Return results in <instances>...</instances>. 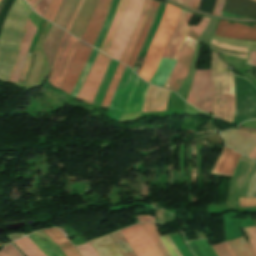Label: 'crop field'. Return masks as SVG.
I'll use <instances>...</instances> for the list:
<instances>
[{
	"mask_svg": "<svg viewBox=\"0 0 256 256\" xmlns=\"http://www.w3.org/2000/svg\"><path fill=\"white\" fill-rule=\"evenodd\" d=\"M216 53L211 51L212 113L232 123L234 116L232 74L226 73L227 64L219 59Z\"/></svg>",
	"mask_w": 256,
	"mask_h": 256,
	"instance_id": "1",
	"label": "crop field"
},
{
	"mask_svg": "<svg viewBox=\"0 0 256 256\" xmlns=\"http://www.w3.org/2000/svg\"><path fill=\"white\" fill-rule=\"evenodd\" d=\"M179 13L180 9L170 4L166 5L161 23L150 44L142 68L138 74V76L147 82H150L151 77L159 64L162 52L172 34Z\"/></svg>",
	"mask_w": 256,
	"mask_h": 256,
	"instance_id": "2",
	"label": "crop field"
},
{
	"mask_svg": "<svg viewBox=\"0 0 256 256\" xmlns=\"http://www.w3.org/2000/svg\"><path fill=\"white\" fill-rule=\"evenodd\" d=\"M192 15L193 14L182 9L172 37L162 55V61L176 62L180 48L190 29V26H187V22ZM162 61H160L159 67L150 82L151 84L162 86L174 66L173 63Z\"/></svg>",
	"mask_w": 256,
	"mask_h": 256,
	"instance_id": "3",
	"label": "crop field"
},
{
	"mask_svg": "<svg viewBox=\"0 0 256 256\" xmlns=\"http://www.w3.org/2000/svg\"><path fill=\"white\" fill-rule=\"evenodd\" d=\"M209 21V18L204 17L199 27L192 26L185 43L182 46L176 65L166 81L164 88L177 92L189 71L191 59L196 48L197 39Z\"/></svg>",
	"mask_w": 256,
	"mask_h": 256,
	"instance_id": "4",
	"label": "crop field"
},
{
	"mask_svg": "<svg viewBox=\"0 0 256 256\" xmlns=\"http://www.w3.org/2000/svg\"><path fill=\"white\" fill-rule=\"evenodd\" d=\"M144 0H129L124 16L113 37L111 46L106 54L120 60L129 40L134 31L135 25L142 10Z\"/></svg>",
	"mask_w": 256,
	"mask_h": 256,
	"instance_id": "5",
	"label": "crop field"
},
{
	"mask_svg": "<svg viewBox=\"0 0 256 256\" xmlns=\"http://www.w3.org/2000/svg\"><path fill=\"white\" fill-rule=\"evenodd\" d=\"M186 101L203 111L211 113L212 90L210 70L196 71Z\"/></svg>",
	"mask_w": 256,
	"mask_h": 256,
	"instance_id": "6",
	"label": "crop field"
},
{
	"mask_svg": "<svg viewBox=\"0 0 256 256\" xmlns=\"http://www.w3.org/2000/svg\"><path fill=\"white\" fill-rule=\"evenodd\" d=\"M79 41L65 32L63 39L60 43L56 60L53 66V71L49 78V82L59 87L68 69L70 60L78 46Z\"/></svg>",
	"mask_w": 256,
	"mask_h": 256,
	"instance_id": "7",
	"label": "crop field"
},
{
	"mask_svg": "<svg viewBox=\"0 0 256 256\" xmlns=\"http://www.w3.org/2000/svg\"><path fill=\"white\" fill-rule=\"evenodd\" d=\"M111 58L99 52L78 96L77 99L92 103L99 84L103 78L106 68Z\"/></svg>",
	"mask_w": 256,
	"mask_h": 256,
	"instance_id": "8",
	"label": "crop field"
},
{
	"mask_svg": "<svg viewBox=\"0 0 256 256\" xmlns=\"http://www.w3.org/2000/svg\"><path fill=\"white\" fill-rule=\"evenodd\" d=\"M138 256H162L141 224L122 230Z\"/></svg>",
	"mask_w": 256,
	"mask_h": 256,
	"instance_id": "9",
	"label": "crop field"
},
{
	"mask_svg": "<svg viewBox=\"0 0 256 256\" xmlns=\"http://www.w3.org/2000/svg\"><path fill=\"white\" fill-rule=\"evenodd\" d=\"M92 47H88L82 43L79 46L72 58L67 74L59 89L70 94L90 52Z\"/></svg>",
	"mask_w": 256,
	"mask_h": 256,
	"instance_id": "10",
	"label": "crop field"
},
{
	"mask_svg": "<svg viewBox=\"0 0 256 256\" xmlns=\"http://www.w3.org/2000/svg\"><path fill=\"white\" fill-rule=\"evenodd\" d=\"M111 1L112 0H98L93 15L89 21V24L81 40L93 46L101 30L108 9L110 7Z\"/></svg>",
	"mask_w": 256,
	"mask_h": 256,
	"instance_id": "11",
	"label": "crop field"
},
{
	"mask_svg": "<svg viewBox=\"0 0 256 256\" xmlns=\"http://www.w3.org/2000/svg\"><path fill=\"white\" fill-rule=\"evenodd\" d=\"M226 145L248 155L256 145V134L232 129L221 133Z\"/></svg>",
	"mask_w": 256,
	"mask_h": 256,
	"instance_id": "12",
	"label": "crop field"
},
{
	"mask_svg": "<svg viewBox=\"0 0 256 256\" xmlns=\"http://www.w3.org/2000/svg\"><path fill=\"white\" fill-rule=\"evenodd\" d=\"M215 35L228 38L256 40V29L237 23L230 24L228 21L220 20Z\"/></svg>",
	"mask_w": 256,
	"mask_h": 256,
	"instance_id": "13",
	"label": "crop field"
},
{
	"mask_svg": "<svg viewBox=\"0 0 256 256\" xmlns=\"http://www.w3.org/2000/svg\"><path fill=\"white\" fill-rule=\"evenodd\" d=\"M37 28L32 24V22L28 19L27 20V26H26V32L25 36L22 40L21 50L20 54L17 60V63L15 65L14 71L10 77L11 83L17 84V81L19 79L20 73L22 71V68L24 66V63L26 61L27 52L30 48L32 39L34 37V34L36 32Z\"/></svg>",
	"mask_w": 256,
	"mask_h": 256,
	"instance_id": "14",
	"label": "crop field"
},
{
	"mask_svg": "<svg viewBox=\"0 0 256 256\" xmlns=\"http://www.w3.org/2000/svg\"><path fill=\"white\" fill-rule=\"evenodd\" d=\"M240 156V153L225 146L212 173L232 176Z\"/></svg>",
	"mask_w": 256,
	"mask_h": 256,
	"instance_id": "15",
	"label": "crop field"
},
{
	"mask_svg": "<svg viewBox=\"0 0 256 256\" xmlns=\"http://www.w3.org/2000/svg\"><path fill=\"white\" fill-rule=\"evenodd\" d=\"M169 93L170 92L165 89L150 85L142 111H157L165 109Z\"/></svg>",
	"mask_w": 256,
	"mask_h": 256,
	"instance_id": "16",
	"label": "crop field"
},
{
	"mask_svg": "<svg viewBox=\"0 0 256 256\" xmlns=\"http://www.w3.org/2000/svg\"><path fill=\"white\" fill-rule=\"evenodd\" d=\"M142 225H143V227L145 228V230L147 231V233L149 234V236L151 237V239L153 240V242L155 243V245L157 246V248L159 249V251L161 252V254L163 256H171V255L172 256H177V255L181 256V254L176 249V247L174 246V244L172 243V241L170 240L168 235H165V237H166V239L168 240V242L170 243V245L172 246V248L174 249V251L176 252L177 255L175 254V252L173 251V249L171 248V246L169 245V243L167 242L165 237L161 236L162 237L161 240L163 241V243L165 244V246L167 247V249L171 253V255H170V253L168 252V250L166 249V247L164 246V244L162 243V241L159 238L158 232L156 230L155 223H148V224H142Z\"/></svg>",
	"mask_w": 256,
	"mask_h": 256,
	"instance_id": "17",
	"label": "crop field"
},
{
	"mask_svg": "<svg viewBox=\"0 0 256 256\" xmlns=\"http://www.w3.org/2000/svg\"><path fill=\"white\" fill-rule=\"evenodd\" d=\"M28 237L46 256H65L43 231H39Z\"/></svg>",
	"mask_w": 256,
	"mask_h": 256,
	"instance_id": "18",
	"label": "crop field"
},
{
	"mask_svg": "<svg viewBox=\"0 0 256 256\" xmlns=\"http://www.w3.org/2000/svg\"><path fill=\"white\" fill-rule=\"evenodd\" d=\"M151 2H152V0H145V2H144L143 10H142L140 18L138 20V23H137V26L135 28V31H134V33H133V35L131 37V40H130L127 48H126V51H125V53H124V55H123V57L121 59V62H123L125 64H127L128 61H129L132 49H133V47L135 45V42H136V40L138 38V35H139V33H140L141 29H142V26H143V24L145 22V19H146L147 15H148L150 7H151Z\"/></svg>",
	"mask_w": 256,
	"mask_h": 256,
	"instance_id": "19",
	"label": "crop field"
},
{
	"mask_svg": "<svg viewBox=\"0 0 256 256\" xmlns=\"http://www.w3.org/2000/svg\"><path fill=\"white\" fill-rule=\"evenodd\" d=\"M158 5H159V3L153 1L151 10H150L149 15H148V17H147V20H146V22H145V24H144V27H143V29H142V32H141V34H140V36H139V39H138V41H137V44H136V46H135V48H134V51H133L132 56H131V59H130L129 63L127 64V65H129L131 68H132V66H133V64H134V62H135V60H136V58H137V56H138V54H139V52H140V49H141V47H142V44H143V42H144V40H145V37H146V35H147V32H148V30H149V28H150V26H151V24H152V22H153V20H154V18H155Z\"/></svg>",
	"mask_w": 256,
	"mask_h": 256,
	"instance_id": "20",
	"label": "crop field"
},
{
	"mask_svg": "<svg viewBox=\"0 0 256 256\" xmlns=\"http://www.w3.org/2000/svg\"><path fill=\"white\" fill-rule=\"evenodd\" d=\"M98 256H122L109 235L90 242Z\"/></svg>",
	"mask_w": 256,
	"mask_h": 256,
	"instance_id": "21",
	"label": "crop field"
},
{
	"mask_svg": "<svg viewBox=\"0 0 256 256\" xmlns=\"http://www.w3.org/2000/svg\"><path fill=\"white\" fill-rule=\"evenodd\" d=\"M44 232L53 240V242L64 252L66 256H79L75 248L56 228L44 230Z\"/></svg>",
	"mask_w": 256,
	"mask_h": 256,
	"instance_id": "22",
	"label": "crop field"
},
{
	"mask_svg": "<svg viewBox=\"0 0 256 256\" xmlns=\"http://www.w3.org/2000/svg\"><path fill=\"white\" fill-rule=\"evenodd\" d=\"M128 0H121L120 1V4H119V7L117 9V12L114 16V19L111 23V26L109 28V31H108V34L106 36V39L101 47L100 50H102L103 52H106L107 48L109 47V45L111 44V41H112V37L118 27V24L120 22V19H121V16L123 14V11H124V8L127 4Z\"/></svg>",
	"mask_w": 256,
	"mask_h": 256,
	"instance_id": "23",
	"label": "crop field"
},
{
	"mask_svg": "<svg viewBox=\"0 0 256 256\" xmlns=\"http://www.w3.org/2000/svg\"><path fill=\"white\" fill-rule=\"evenodd\" d=\"M228 244L236 256H256L245 237L228 241Z\"/></svg>",
	"mask_w": 256,
	"mask_h": 256,
	"instance_id": "24",
	"label": "crop field"
},
{
	"mask_svg": "<svg viewBox=\"0 0 256 256\" xmlns=\"http://www.w3.org/2000/svg\"><path fill=\"white\" fill-rule=\"evenodd\" d=\"M124 68H125L124 65L119 64V66L117 68V71H116V73L114 75V78H113V80L111 82V85L109 84L110 87H109V89H108V91L106 93V96H105V98H104V100H103V102H102L100 107H105V108H109L110 107L112 96H113V94H114V92L116 90V87L118 85L119 79H120V77H121V75H122V73L124 71Z\"/></svg>",
	"mask_w": 256,
	"mask_h": 256,
	"instance_id": "25",
	"label": "crop field"
},
{
	"mask_svg": "<svg viewBox=\"0 0 256 256\" xmlns=\"http://www.w3.org/2000/svg\"><path fill=\"white\" fill-rule=\"evenodd\" d=\"M14 243L26 256H45L28 237L16 240Z\"/></svg>",
	"mask_w": 256,
	"mask_h": 256,
	"instance_id": "26",
	"label": "crop field"
},
{
	"mask_svg": "<svg viewBox=\"0 0 256 256\" xmlns=\"http://www.w3.org/2000/svg\"><path fill=\"white\" fill-rule=\"evenodd\" d=\"M118 3H119V0H113V2H112V5L110 7V10H109L108 16H107V18L105 20V23L103 25V28H102V30H101V32H100V34H99L95 44H94V47H96L98 49L100 48V46H101V44L103 42V39H104V37L106 35V32H107V30H108V28L110 26V23H111V21L113 19V16H114L115 12H116Z\"/></svg>",
	"mask_w": 256,
	"mask_h": 256,
	"instance_id": "27",
	"label": "crop field"
},
{
	"mask_svg": "<svg viewBox=\"0 0 256 256\" xmlns=\"http://www.w3.org/2000/svg\"><path fill=\"white\" fill-rule=\"evenodd\" d=\"M98 52L99 51H97L96 49H93V51H92V53H91V55H90L86 65H85V67H84V69H83V71H82V73H81V75H80V77H79L75 87L73 88V90H72V92L70 94L73 97L76 98V96H77V94H78V92H79V90H80V88H81V86H82V84H83L87 74H88V71H89L92 63H93V61L95 60V58H96V56L98 54Z\"/></svg>",
	"mask_w": 256,
	"mask_h": 256,
	"instance_id": "28",
	"label": "crop field"
},
{
	"mask_svg": "<svg viewBox=\"0 0 256 256\" xmlns=\"http://www.w3.org/2000/svg\"><path fill=\"white\" fill-rule=\"evenodd\" d=\"M111 237L121 250L124 256H137L136 253L133 251L121 231L111 234Z\"/></svg>",
	"mask_w": 256,
	"mask_h": 256,
	"instance_id": "29",
	"label": "crop field"
},
{
	"mask_svg": "<svg viewBox=\"0 0 256 256\" xmlns=\"http://www.w3.org/2000/svg\"><path fill=\"white\" fill-rule=\"evenodd\" d=\"M62 0H52L50 7L48 8L47 12L45 13L44 17L45 19L49 20V21H53L57 10L61 4ZM59 11V10H58Z\"/></svg>",
	"mask_w": 256,
	"mask_h": 256,
	"instance_id": "30",
	"label": "crop field"
},
{
	"mask_svg": "<svg viewBox=\"0 0 256 256\" xmlns=\"http://www.w3.org/2000/svg\"><path fill=\"white\" fill-rule=\"evenodd\" d=\"M213 249L215 250L218 256H235L227 242L221 245L213 246Z\"/></svg>",
	"mask_w": 256,
	"mask_h": 256,
	"instance_id": "31",
	"label": "crop field"
},
{
	"mask_svg": "<svg viewBox=\"0 0 256 256\" xmlns=\"http://www.w3.org/2000/svg\"><path fill=\"white\" fill-rule=\"evenodd\" d=\"M252 248L256 253V227L243 229Z\"/></svg>",
	"mask_w": 256,
	"mask_h": 256,
	"instance_id": "32",
	"label": "crop field"
},
{
	"mask_svg": "<svg viewBox=\"0 0 256 256\" xmlns=\"http://www.w3.org/2000/svg\"><path fill=\"white\" fill-rule=\"evenodd\" d=\"M90 245H89V243L80 245V246H77V249L79 250V252L81 253L82 256H97L96 253L92 249L93 247L91 248Z\"/></svg>",
	"mask_w": 256,
	"mask_h": 256,
	"instance_id": "33",
	"label": "crop field"
},
{
	"mask_svg": "<svg viewBox=\"0 0 256 256\" xmlns=\"http://www.w3.org/2000/svg\"><path fill=\"white\" fill-rule=\"evenodd\" d=\"M0 256H22L12 245H7L0 251Z\"/></svg>",
	"mask_w": 256,
	"mask_h": 256,
	"instance_id": "34",
	"label": "crop field"
},
{
	"mask_svg": "<svg viewBox=\"0 0 256 256\" xmlns=\"http://www.w3.org/2000/svg\"><path fill=\"white\" fill-rule=\"evenodd\" d=\"M51 0H41L39 4L33 9L36 13L43 16L47 10Z\"/></svg>",
	"mask_w": 256,
	"mask_h": 256,
	"instance_id": "35",
	"label": "crop field"
},
{
	"mask_svg": "<svg viewBox=\"0 0 256 256\" xmlns=\"http://www.w3.org/2000/svg\"><path fill=\"white\" fill-rule=\"evenodd\" d=\"M247 197H256V168L249 185Z\"/></svg>",
	"mask_w": 256,
	"mask_h": 256,
	"instance_id": "36",
	"label": "crop field"
},
{
	"mask_svg": "<svg viewBox=\"0 0 256 256\" xmlns=\"http://www.w3.org/2000/svg\"><path fill=\"white\" fill-rule=\"evenodd\" d=\"M256 206V198H240V207Z\"/></svg>",
	"mask_w": 256,
	"mask_h": 256,
	"instance_id": "37",
	"label": "crop field"
},
{
	"mask_svg": "<svg viewBox=\"0 0 256 256\" xmlns=\"http://www.w3.org/2000/svg\"><path fill=\"white\" fill-rule=\"evenodd\" d=\"M83 3H84V0H80L79 4H78V6H77V8H76V10H75V12H74V15H73V17H72V19H71L69 25L66 27L65 30L70 31V29H71V27H72V25H73V23H74V21H75L77 15H78L79 11H80V9H81Z\"/></svg>",
	"mask_w": 256,
	"mask_h": 256,
	"instance_id": "38",
	"label": "crop field"
},
{
	"mask_svg": "<svg viewBox=\"0 0 256 256\" xmlns=\"http://www.w3.org/2000/svg\"><path fill=\"white\" fill-rule=\"evenodd\" d=\"M30 58H31V54H30V53H28V57H27L26 64H25V66H24V68H23L22 75H21V77H20V79H19V82H18V85H17V86H19V87H21V86H22V83H23V80H24L25 74H26L27 69H28V66H29Z\"/></svg>",
	"mask_w": 256,
	"mask_h": 256,
	"instance_id": "39",
	"label": "crop field"
},
{
	"mask_svg": "<svg viewBox=\"0 0 256 256\" xmlns=\"http://www.w3.org/2000/svg\"><path fill=\"white\" fill-rule=\"evenodd\" d=\"M224 0H217L215 9H214V15L220 16L222 13V8H223Z\"/></svg>",
	"mask_w": 256,
	"mask_h": 256,
	"instance_id": "40",
	"label": "crop field"
},
{
	"mask_svg": "<svg viewBox=\"0 0 256 256\" xmlns=\"http://www.w3.org/2000/svg\"><path fill=\"white\" fill-rule=\"evenodd\" d=\"M136 219L138 220V222L155 221L154 216H139L136 217Z\"/></svg>",
	"mask_w": 256,
	"mask_h": 256,
	"instance_id": "41",
	"label": "crop field"
},
{
	"mask_svg": "<svg viewBox=\"0 0 256 256\" xmlns=\"http://www.w3.org/2000/svg\"><path fill=\"white\" fill-rule=\"evenodd\" d=\"M27 3L34 8L40 0H26Z\"/></svg>",
	"mask_w": 256,
	"mask_h": 256,
	"instance_id": "42",
	"label": "crop field"
},
{
	"mask_svg": "<svg viewBox=\"0 0 256 256\" xmlns=\"http://www.w3.org/2000/svg\"><path fill=\"white\" fill-rule=\"evenodd\" d=\"M248 157L256 161V147L252 150Z\"/></svg>",
	"mask_w": 256,
	"mask_h": 256,
	"instance_id": "43",
	"label": "crop field"
},
{
	"mask_svg": "<svg viewBox=\"0 0 256 256\" xmlns=\"http://www.w3.org/2000/svg\"><path fill=\"white\" fill-rule=\"evenodd\" d=\"M248 64H252L254 66H256V59H251V58H248L247 62Z\"/></svg>",
	"mask_w": 256,
	"mask_h": 256,
	"instance_id": "44",
	"label": "crop field"
},
{
	"mask_svg": "<svg viewBox=\"0 0 256 256\" xmlns=\"http://www.w3.org/2000/svg\"><path fill=\"white\" fill-rule=\"evenodd\" d=\"M199 2H200V0H194L192 7L197 9V8H198V5H199Z\"/></svg>",
	"mask_w": 256,
	"mask_h": 256,
	"instance_id": "45",
	"label": "crop field"
},
{
	"mask_svg": "<svg viewBox=\"0 0 256 256\" xmlns=\"http://www.w3.org/2000/svg\"><path fill=\"white\" fill-rule=\"evenodd\" d=\"M183 4L191 7L192 0H184Z\"/></svg>",
	"mask_w": 256,
	"mask_h": 256,
	"instance_id": "46",
	"label": "crop field"
},
{
	"mask_svg": "<svg viewBox=\"0 0 256 256\" xmlns=\"http://www.w3.org/2000/svg\"><path fill=\"white\" fill-rule=\"evenodd\" d=\"M250 52H251V54H250L249 57H251V58H256V52H253V51H250Z\"/></svg>",
	"mask_w": 256,
	"mask_h": 256,
	"instance_id": "47",
	"label": "crop field"
},
{
	"mask_svg": "<svg viewBox=\"0 0 256 256\" xmlns=\"http://www.w3.org/2000/svg\"><path fill=\"white\" fill-rule=\"evenodd\" d=\"M6 0H2V2L0 3V8L2 7V5L4 4Z\"/></svg>",
	"mask_w": 256,
	"mask_h": 256,
	"instance_id": "48",
	"label": "crop field"
},
{
	"mask_svg": "<svg viewBox=\"0 0 256 256\" xmlns=\"http://www.w3.org/2000/svg\"><path fill=\"white\" fill-rule=\"evenodd\" d=\"M176 1H178V2H180V3H182V2H183V0H176ZM176 1H175V2H176ZM178 2H177V3H178Z\"/></svg>",
	"mask_w": 256,
	"mask_h": 256,
	"instance_id": "49",
	"label": "crop field"
},
{
	"mask_svg": "<svg viewBox=\"0 0 256 256\" xmlns=\"http://www.w3.org/2000/svg\"><path fill=\"white\" fill-rule=\"evenodd\" d=\"M253 27H256V25H254Z\"/></svg>",
	"mask_w": 256,
	"mask_h": 256,
	"instance_id": "50",
	"label": "crop field"
},
{
	"mask_svg": "<svg viewBox=\"0 0 256 256\" xmlns=\"http://www.w3.org/2000/svg\"><path fill=\"white\" fill-rule=\"evenodd\" d=\"M253 1H256V0H253Z\"/></svg>",
	"mask_w": 256,
	"mask_h": 256,
	"instance_id": "51",
	"label": "crop field"
},
{
	"mask_svg": "<svg viewBox=\"0 0 256 256\" xmlns=\"http://www.w3.org/2000/svg\"><path fill=\"white\" fill-rule=\"evenodd\" d=\"M0 2H1V0H0Z\"/></svg>",
	"mask_w": 256,
	"mask_h": 256,
	"instance_id": "52",
	"label": "crop field"
}]
</instances>
